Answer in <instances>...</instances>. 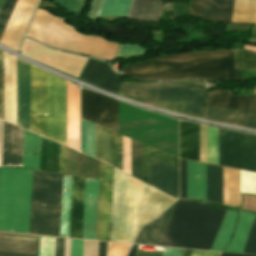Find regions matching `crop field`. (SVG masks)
Segmentation results:
<instances>
[{
  "label": "crop field",
  "mask_w": 256,
  "mask_h": 256,
  "mask_svg": "<svg viewBox=\"0 0 256 256\" xmlns=\"http://www.w3.org/2000/svg\"><path fill=\"white\" fill-rule=\"evenodd\" d=\"M30 178L31 171L0 168L1 231L27 233ZM62 182L63 175L32 171L28 233L59 236Z\"/></svg>",
  "instance_id": "8a807250"
},
{
  "label": "crop field",
  "mask_w": 256,
  "mask_h": 256,
  "mask_svg": "<svg viewBox=\"0 0 256 256\" xmlns=\"http://www.w3.org/2000/svg\"><path fill=\"white\" fill-rule=\"evenodd\" d=\"M123 74L143 80L206 79L241 82L233 52L212 51L160 57L124 68Z\"/></svg>",
  "instance_id": "ac0d7876"
},
{
  "label": "crop field",
  "mask_w": 256,
  "mask_h": 256,
  "mask_svg": "<svg viewBox=\"0 0 256 256\" xmlns=\"http://www.w3.org/2000/svg\"><path fill=\"white\" fill-rule=\"evenodd\" d=\"M141 190L142 182L115 169L110 241L131 243L139 228ZM173 201L143 184L140 225L152 220Z\"/></svg>",
  "instance_id": "34b2d1b8"
},
{
  "label": "crop field",
  "mask_w": 256,
  "mask_h": 256,
  "mask_svg": "<svg viewBox=\"0 0 256 256\" xmlns=\"http://www.w3.org/2000/svg\"><path fill=\"white\" fill-rule=\"evenodd\" d=\"M31 130L67 146L66 81L30 65Z\"/></svg>",
  "instance_id": "412701ff"
},
{
  "label": "crop field",
  "mask_w": 256,
  "mask_h": 256,
  "mask_svg": "<svg viewBox=\"0 0 256 256\" xmlns=\"http://www.w3.org/2000/svg\"><path fill=\"white\" fill-rule=\"evenodd\" d=\"M225 212L178 200L159 245L210 250Z\"/></svg>",
  "instance_id": "f4fd0767"
},
{
  "label": "crop field",
  "mask_w": 256,
  "mask_h": 256,
  "mask_svg": "<svg viewBox=\"0 0 256 256\" xmlns=\"http://www.w3.org/2000/svg\"><path fill=\"white\" fill-rule=\"evenodd\" d=\"M230 94L209 92L204 119L256 129V96L230 97Z\"/></svg>",
  "instance_id": "dd49c442"
},
{
  "label": "crop field",
  "mask_w": 256,
  "mask_h": 256,
  "mask_svg": "<svg viewBox=\"0 0 256 256\" xmlns=\"http://www.w3.org/2000/svg\"><path fill=\"white\" fill-rule=\"evenodd\" d=\"M205 97L203 82H162L159 84L157 107L202 118Z\"/></svg>",
  "instance_id": "e52e79f7"
},
{
  "label": "crop field",
  "mask_w": 256,
  "mask_h": 256,
  "mask_svg": "<svg viewBox=\"0 0 256 256\" xmlns=\"http://www.w3.org/2000/svg\"><path fill=\"white\" fill-rule=\"evenodd\" d=\"M218 165L256 172V136L218 129Z\"/></svg>",
  "instance_id": "d8731c3e"
},
{
  "label": "crop field",
  "mask_w": 256,
  "mask_h": 256,
  "mask_svg": "<svg viewBox=\"0 0 256 256\" xmlns=\"http://www.w3.org/2000/svg\"><path fill=\"white\" fill-rule=\"evenodd\" d=\"M82 118L119 133L118 101L82 89Z\"/></svg>",
  "instance_id": "5a996713"
},
{
  "label": "crop field",
  "mask_w": 256,
  "mask_h": 256,
  "mask_svg": "<svg viewBox=\"0 0 256 256\" xmlns=\"http://www.w3.org/2000/svg\"><path fill=\"white\" fill-rule=\"evenodd\" d=\"M96 158L123 170V137L96 125ZM124 172L130 174V140L125 137Z\"/></svg>",
  "instance_id": "3316defc"
},
{
  "label": "crop field",
  "mask_w": 256,
  "mask_h": 256,
  "mask_svg": "<svg viewBox=\"0 0 256 256\" xmlns=\"http://www.w3.org/2000/svg\"><path fill=\"white\" fill-rule=\"evenodd\" d=\"M114 168L101 162L96 240L109 241Z\"/></svg>",
  "instance_id": "28ad6ade"
},
{
  "label": "crop field",
  "mask_w": 256,
  "mask_h": 256,
  "mask_svg": "<svg viewBox=\"0 0 256 256\" xmlns=\"http://www.w3.org/2000/svg\"><path fill=\"white\" fill-rule=\"evenodd\" d=\"M80 79L119 95L122 76L105 62L89 59Z\"/></svg>",
  "instance_id": "d1516ede"
},
{
  "label": "crop field",
  "mask_w": 256,
  "mask_h": 256,
  "mask_svg": "<svg viewBox=\"0 0 256 256\" xmlns=\"http://www.w3.org/2000/svg\"><path fill=\"white\" fill-rule=\"evenodd\" d=\"M39 236L0 233V256H38Z\"/></svg>",
  "instance_id": "22f410ed"
},
{
  "label": "crop field",
  "mask_w": 256,
  "mask_h": 256,
  "mask_svg": "<svg viewBox=\"0 0 256 256\" xmlns=\"http://www.w3.org/2000/svg\"><path fill=\"white\" fill-rule=\"evenodd\" d=\"M234 0H191L190 16L230 22Z\"/></svg>",
  "instance_id": "cbeb9de0"
},
{
  "label": "crop field",
  "mask_w": 256,
  "mask_h": 256,
  "mask_svg": "<svg viewBox=\"0 0 256 256\" xmlns=\"http://www.w3.org/2000/svg\"><path fill=\"white\" fill-rule=\"evenodd\" d=\"M17 125L30 130L29 65L17 60Z\"/></svg>",
  "instance_id": "5142ce71"
},
{
  "label": "crop field",
  "mask_w": 256,
  "mask_h": 256,
  "mask_svg": "<svg viewBox=\"0 0 256 256\" xmlns=\"http://www.w3.org/2000/svg\"><path fill=\"white\" fill-rule=\"evenodd\" d=\"M151 186L177 198L178 169L151 157Z\"/></svg>",
  "instance_id": "d9b57169"
},
{
  "label": "crop field",
  "mask_w": 256,
  "mask_h": 256,
  "mask_svg": "<svg viewBox=\"0 0 256 256\" xmlns=\"http://www.w3.org/2000/svg\"><path fill=\"white\" fill-rule=\"evenodd\" d=\"M23 130L6 122L2 166L21 168Z\"/></svg>",
  "instance_id": "733c2abd"
},
{
  "label": "crop field",
  "mask_w": 256,
  "mask_h": 256,
  "mask_svg": "<svg viewBox=\"0 0 256 256\" xmlns=\"http://www.w3.org/2000/svg\"><path fill=\"white\" fill-rule=\"evenodd\" d=\"M68 146L80 151L79 90L67 82Z\"/></svg>",
  "instance_id": "4a817a6b"
},
{
  "label": "crop field",
  "mask_w": 256,
  "mask_h": 256,
  "mask_svg": "<svg viewBox=\"0 0 256 256\" xmlns=\"http://www.w3.org/2000/svg\"><path fill=\"white\" fill-rule=\"evenodd\" d=\"M98 180L86 178L82 238L95 240Z\"/></svg>",
  "instance_id": "bc2a9ffb"
},
{
  "label": "crop field",
  "mask_w": 256,
  "mask_h": 256,
  "mask_svg": "<svg viewBox=\"0 0 256 256\" xmlns=\"http://www.w3.org/2000/svg\"><path fill=\"white\" fill-rule=\"evenodd\" d=\"M85 178L73 176L69 237L81 238Z\"/></svg>",
  "instance_id": "214f88e0"
},
{
  "label": "crop field",
  "mask_w": 256,
  "mask_h": 256,
  "mask_svg": "<svg viewBox=\"0 0 256 256\" xmlns=\"http://www.w3.org/2000/svg\"><path fill=\"white\" fill-rule=\"evenodd\" d=\"M187 199L206 200V164L187 161Z\"/></svg>",
  "instance_id": "92a150f3"
},
{
  "label": "crop field",
  "mask_w": 256,
  "mask_h": 256,
  "mask_svg": "<svg viewBox=\"0 0 256 256\" xmlns=\"http://www.w3.org/2000/svg\"><path fill=\"white\" fill-rule=\"evenodd\" d=\"M180 158L199 161V125L180 122Z\"/></svg>",
  "instance_id": "dafd665d"
},
{
  "label": "crop field",
  "mask_w": 256,
  "mask_h": 256,
  "mask_svg": "<svg viewBox=\"0 0 256 256\" xmlns=\"http://www.w3.org/2000/svg\"><path fill=\"white\" fill-rule=\"evenodd\" d=\"M157 86L158 82L122 83L120 95L154 106Z\"/></svg>",
  "instance_id": "00972430"
},
{
  "label": "crop field",
  "mask_w": 256,
  "mask_h": 256,
  "mask_svg": "<svg viewBox=\"0 0 256 256\" xmlns=\"http://www.w3.org/2000/svg\"><path fill=\"white\" fill-rule=\"evenodd\" d=\"M175 204L163 214H161L159 217H157L155 220H153L151 223L142 227L134 243L158 245Z\"/></svg>",
  "instance_id": "a9b5d70f"
},
{
  "label": "crop field",
  "mask_w": 256,
  "mask_h": 256,
  "mask_svg": "<svg viewBox=\"0 0 256 256\" xmlns=\"http://www.w3.org/2000/svg\"><path fill=\"white\" fill-rule=\"evenodd\" d=\"M239 212H240V215L238 218L234 236L230 241L229 245L225 249V251H228V252H238V253L243 252L248 234L250 232V229L255 217L254 215L247 212H242V211H239Z\"/></svg>",
  "instance_id": "4177f3b9"
},
{
  "label": "crop field",
  "mask_w": 256,
  "mask_h": 256,
  "mask_svg": "<svg viewBox=\"0 0 256 256\" xmlns=\"http://www.w3.org/2000/svg\"><path fill=\"white\" fill-rule=\"evenodd\" d=\"M60 145L41 137L39 170L58 173Z\"/></svg>",
  "instance_id": "730fd06b"
},
{
  "label": "crop field",
  "mask_w": 256,
  "mask_h": 256,
  "mask_svg": "<svg viewBox=\"0 0 256 256\" xmlns=\"http://www.w3.org/2000/svg\"><path fill=\"white\" fill-rule=\"evenodd\" d=\"M159 11L160 0H134L129 19L156 22Z\"/></svg>",
  "instance_id": "eef30255"
},
{
  "label": "crop field",
  "mask_w": 256,
  "mask_h": 256,
  "mask_svg": "<svg viewBox=\"0 0 256 256\" xmlns=\"http://www.w3.org/2000/svg\"><path fill=\"white\" fill-rule=\"evenodd\" d=\"M40 137L24 130L22 168L38 170Z\"/></svg>",
  "instance_id": "ae1a2a85"
},
{
  "label": "crop field",
  "mask_w": 256,
  "mask_h": 256,
  "mask_svg": "<svg viewBox=\"0 0 256 256\" xmlns=\"http://www.w3.org/2000/svg\"><path fill=\"white\" fill-rule=\"evenodd\" d=\"M207 201L222 204V167L207 164Z\"/></svg>",
  "instance_id": "d3111659"
},
{
  "label": "crop field",
  "mask_w": 256,
  "mask_h": 256,
  "mask_svg": "<svg viewBox=\"0 0 256 256\" xmlns=\"http://www.w3.org/2000/svg\"><path fill=\"white\" fill-rule=\"evenodd\" d=\"M72 176L64 175L60 236L68 237Z\"/></svg>",
  "instance_id": "750c4746"
},
{
  "label": "crop field",
  "mask_w": 256,
  "mask_h": 256,
  "mask_svg": "<svg viewBox=\"0 0 256 256\" xmlns=\"http://www.w3.org/2000/svg\"><path fill=\"white\" fill-rule=\"evenodd\" d=\"M236 216H237V212H231V211L226 212L211 250L223 251L226 243L228 242L231 236L233 225L236 220Z\"/></svg>",
  "instance_id": "bd1437ed"
},
{
  "label": "crop field",
  "mask_w": 256,
  "mask_h": 256,
  "mask_svg": "<svg viewBox=\"0 0 256 256\" xmlns=\"http://www.w3.org/2000/svg\"><path fill=\"white\" fill-rule=\"evenodd\" d=\"M132 0H105L99 16H127Z\"/></svg>",
  "instance_id": "1d83c4d3"
},
{
  "label": "crop field",
  "mask_w": 256,
  "mask_h": 256,
  "mask_svg": "<svg viewBox=\"0 0 256 256\" xmlns=\"http://www.w3.org/2000/svg\"><path fill=\"white\" fill-rule=\"evenodd\" d=\"M82 152L95 158V125L82 120Z\"/></svg>",
  "instance_id": "120bbe31"
},
{
  "label": "crop field",
  "mask_w": 256,
  "mask_h": 256,
  "mask_svg": "<svg viewBox=\"0 0 256 256\" xmlns=\"http://www.w3.org/2000/svg\"><path fill=\"white\" fill-rule=\"evenodd\" d=\"M234 60L235 68L256 72V53L246 50L234 51Z\"/></svg>",
  "instance_id": "d32e631a"
},
{
  "label": "crop field",
  "mask_w": 256,
  "mask_h": 256,
  "mask_svg": "<svg viewBox=\"0 0 256 256\" xmlns=\"http://www.w3.org/2000/svg\"><path fill=\"white\" fill-rule=\"evenodd\" d=\"M131 176L141 180V144L131 140Z\"/></svg>",
  "instance_id": "5866460e"
},
{
  "label": "crop field",
  "mask_w": 256,
  "mask_h": 256,
  "mask_svg": "<svg viewBox=\"0 0 256 256\" xmlns=\"http://www.w3.org/2000/svg\"><path fill=\"white\" fill-rule=\"evenodd\" d=\"M208 163L217 165V129L208 127Z\"/></svg>",
  "instance_id": "028f5c9d"
},
{
  "label": "crop field",
  "mask_w": 256,
  "mask_h": 256,
  "mask_svg": "<svg viewBox=\"0 0 256 256\" xmlns=\"http://www.w3.org/2000/svg\"><path fill=\"white\" fill-rule=\"evenodd\" d=\"M142 181L150 185V148L142 144Z\"/></svg>",
  "instance_id": "e1f06a70"
},
{
  "label": "crop field",
  "mask_w": 256,
  "mask_h": 256,
  "mask_svg": "<svg viewBox=\"0 0 256 256\" xmlns=\"http://www.w3.org/2000/svg\"><path fill=\"white\" fill-rule=\"evenodd\" d=\"M55 238L40 236L39 256H54Z\"/></svg>",
  "instance_id": "0bd39190"
},
{
  "label": "crop field",
  "mask_w": 256,
  "mask_h": 256,
  "mask_svg": "<svg viewBox=\"0 0 256 256\" xmlns=\"http://www.w3.org/2000/svg\"><path fill=\"white\" fill-rule=\"evenodd\" d=\"M16 0H5L0 11V37L13 10Z\"/></svg>",
  "instance_id": "b80d0937"
},
{
  "label": "crop field",
  "mask_w": 256,
  "mask_h": 256,
  "mask_svg": "<svg viewBox=\"0 0 256 256\" xmlns=\"http://www.w3.org/2000/svg\"><path fill=\"white\" fill-rule=\"evenodd\" d=\"M145 51L146 48L137 45H120L118 55H127L130 57H134L143 55Z\"/></svg>",
  "instance_id": "c035e120"
},
{
  "label": "crop field",
  "mask_w": 256,
  "mask_h": 256,
  "mask_svg": "<svg viewBox=\"0 0 256 256\" xmlns=\"http://www.w3.org/2000/svg\"><path fill=\"white\" fill-rule=\"evenodd\" d=\"M52 1H54L58 5L63 6L65 9L75 13H80L85 3L82 0H52Z\"/></svg>",
  "instance_id": "c21b1889"
},
{
  "label": "crop field",
  "mask_w": 256,
  "mask_h": 256,
  "mask_svg": "<svg viewBox=\"0 0 256 256\" xmlns=\"http://www.w3.org/2000/svg\"><path fill=\"white\" fill-rule=\"evenodd\" d=\"M200 161L207 163V127L200 125Z\"/></svg>",
  "instance_id": "03da06ac"
},
{
  "label": "crop field",
  "mask_w": 256,
  "mask_h": 256,
  "mask_svg": "<svg viewBox=\"0 0 256 256\" xmlns=\"http://www.w3.org/2000/svg\"><path fill=\"white\" fill-rule=\"evenodd\" d=\"M130 245L107 243L106 256H125Z\"/></svg>",
  "instance_id": "b54c1fbb"
},
{
  "label": "crop field",
  "mask_w": 256,
  "mask_h": 256,
  "mask_svg": "<svg viewBox=\"0 0 256 256\" xmlns=\"http://www.w3.org/2000/svg\"><path fill=\"white\" fill-rule=\"evenodd\" d=\"M243 253L256 254V217Z\"/></svg>",
  "instance_id": "5d738f31"
},
{
  "label": "crop field",
  "mask_w": 256,
  "mask_h": 256,
  "mask_svg": "<svg viewBox=\"0 0 256 256\" xmlns=\"http://www.w3.org/2000/svg\"><path fill=\"white\" fill-rule=\"evenodd\" d=\"M180 198L186 199V161L180 160Z\"/></svg>",
  "instance_id": "d23c7cc5"
},
{
  "label": "crop field",
  "mask_w": 256,
  "mask_h": 256,
  "mask_svg": "<svg viewBox=\"0 0 256 256\" xmlns=\"http://www.w3.org/2000/svg\"><path fill=\"white\" fill-rule=\"evenodd\" d=\"M151 156L178 168V159L151 148Z\"/></svg>",
  "instance_id": "425ffa30"
},
{
  "label": "crop field",
  "mask_w": 256,
  "mask_h": 256,
  "mask_svg": "<svg viewBox=\"0 0 256 256\" xmlns=\"http://www.w3.org/2000/svg\"><path fill=\"white\" fill-rule=\"evenodd\" d=\"M83 240L71 239L70 256H82Z\"/></svg>",
  "instance_id": "25e5ab78"
},
{
  "label": "crop field",
  "mask_w": 256,
  "mask_h": 256,
  "mask_svg": "<svg viewBox=\"0 0 256 256\" xmlns=\"http://www.w3.org/2000/svg\"><path fill=\"white\" fill-rule=\"evenodd\" d=\"M174 16H189V4L172 5Z\"/></svg>",
  "instance_id": "73cf0c24"
},
{
  "label": "crop field",
  "mask_w": 256,
  "mask_h": 256,
  "mask_svg": "<svg viewBox=\"0 0 256 256\" xmlns=\"http://www.w3.org/2000/svg\"><path fill=\"white\" fill-rule=\"evenodd\" d=\"M67 148L61 145L59 173L66 174Z\"/></svg>",
  "instance_id": "89e229c0"
},
{
  "label": "crop field",
  "mask_w": 256,
  "mask_h": 256,
  "mask_svg": "<svg viewBox=\"0 0 256 256\" xmlns=\"http://www.w3.org/2000/svg\"><path fill=\"white\" fill-rule=\"evenodd\" d=\"M0 118L3 119L2 51H0Z\"/></svg>",
  "instance_id": "1f2cbd36"
},
{
  "label": "crop field",
  "mask_w": 256,
  "mask_h": 256,
  "mask_svg": "<svg viewBox=\"0 0 256 256\" xmlns=\"http://www.w3.org/2000/svg\"><path fill=\"white\" fill-rule=\"evenodd\" d=\"M103 1L104 0H93L91 2L89 15H93V16L98 17Z\"/></svg>",
  "instance_id": "dbb93151"
},
{
  "label": "crop field",
  "mask_w": 256,
  "mask_h": 256,
  "mask_svg": "<svg viewBox=\"0 0 256 256\" xmlns=\"http://www.w3.org/2000/svg\"><path fill=\"white\" fill-rule=\"evenodd\" d=\"M64 239L56 238L55 256H63Z\"/></svg>",
  "instance_id": "0fb4a251"
},
{
  "label": "crop field",
  "mask_w": 256,
  "mask_h": 256,
  "mask_svg": "<svg viewBox=\"0 0 256 256\" xmlns=\"http://www.w3.org/2000/svg\"><path fill=\"white\" fill-rule=\"evenodd\" d=\"M183 249L165 248L162 256H181Z\"/></svg>",
  "instance_id": "1d79db26"
},
{
  "label": "crop field",
  "mask_w": 256,
  "mask_h": 256,
  "mask_svg": "<svg viewBox=\"0 0 256 256\" xmlns=\"http://www.w3.org/2000/svg\"><path fill=\"white\" fill-rule=\"evenodd\" d=\"M241 76H242V82L256 79V73L246 71V70H241Z\"/></svg>",
  "instance_id": "9d1cf04e"
},
{
  "label": "crop field",
  "mask_w": 256,
  "mask_h": 256,
  "mask_svg": "<svg viewBox=\"0 0 256 256\" xmlns=\"http://www.w3.org/2000/svg\"><path fill=\"white\" fill-rule=\"evenodd\" d=\"M219 253L193 250L191 256H218Z\"/></svg>",
  "instance_id": "447ae74e"
},
{
  "label": "crop field",
  "mask_w": 256,
  "mask_h": 256,
  "mask_svg": "<svg viewBox=\"0 0 256 256\" xmlns=\"http://www.w3.org/2000/svg\"><path fill=\"white\" fill-rule=\"evenodd\" d=\"M105 252H106V243L99 242L98 256H105Z\"/></svg>",
  "instance_id": "0765c3eb"
},
{
  "label": "crop field",
  "mask_w": 256,
  "mask_h": 256,
  "mask_svg": "<svg viewBox=\"0 0 256 256\" xmlns=\"http://www.w3.org/2000/svg\"><path fill=\"white\" fill-rule=\"evenodd\" d=\"M70 239H65L64 256H69Z\"/></svg>",
  "instance_id": "db79e9e6"
},
{
  "label": "crop field",
  "mask_w": 256,
  "mask_h": 256,
  "mask_svg": "<svg viewBox=\"0 0 256 256\" xmlns=\"http://www.w3.org/2000/svg\"><path fill=\"white\" fill-rule=\"evenodd\" d=\"M137 246H138V245H132V247H131V249H130V251H129L128 256H135Z\"/></svg>",
  "instance_id": "7b73153f"
},
{
  "label": "crop field",
  "mask_w": 256,
  "mask_h": 256,
  "mask_svg": "<svg viewBox=\"0 0 256 256\" xmlns=\"http://www.w3.org/2000/svg\"><path fill=\"white\" fill-rule=\"evenodd\" d=\"M222 256H249V255H240V254H228V253H223Z\"/></svg>",
  "instance_id": "78b8030e"
},
{
  "label": "crop field",
  "mask_w": 256,
  "mask_h": 256,
  "mask_svg": "<svg viewBox=\"0 0 256 256\" xmlns=\"http://www.w3.org/2000/svg\"><path fill=\"white\" fill-rule=\"evenodd\" d=\"M191 251L192 250H190V251H187L186 249H184V254L182 255V256H190V254H191Z\"/></svg>",
  "instance_id": "0f1d7ab4"
},
{
  "label": "crop field",
  "mask_w": 256,
  "mask_h": 256,
  "mask_svg": "<svg viewBox=\"0 0 256 256\" xmlns=\"http://www.w3.org/2000/svg\"><path fill=\"white\" fill-rule=\"evenodd\" d=\"M252 35L253 38H256V25L253 26Z\"/></svg>",
  "instance_id": "e1d0b9f6"
},
{
  "label": "crop field",
  "mask_w": 256,
  "mask_h": 256,
  "mask_svg": "<svg viewBox=\"0 0 256 256\" xmlns=\"http://www.w3.org/2000/svg\"><path fill=\"white\" fill-rule=\"evenodd\" d=\"M3 2H4V0H0V9L2 7Z\"/></svg>",
  "instance_id": "ae633e8c"
},
{
  "label": "crop field",
  "mask_w": 256,
  "mask_h": 256,
  "mask_svg": "<svg viewBox=\"0 0 256 256\" xmlns=\"http://www.w3.org/2000/svg\"><path fill=\"white\" fill-rule=\"evenodd\" d=\"M255 94H256V91H255Z\"/></svg>",
  "instance_id": "d14b1444"
}]
</instances>
